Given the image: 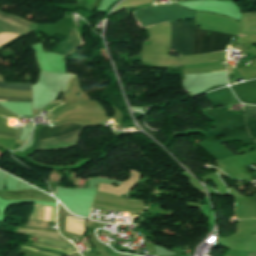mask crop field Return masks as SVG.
Segmentation results:
<instances>
[{"instance_id": "7", "label": "crop field", "mask_w": 256, "mask_h": 256, "mask_svg": "<svg viewBox=\"0 0 256 256\" xmlns=\"http://www.w3.org/2000/svg\"><path fill=\"white\" fill-rule=\"evenodd\" d=\"M0 89L31 91L30 84L0 83ZM0 100L32 103L31 99L0 97Z\"/></svg>"}, {"instance_id": "6", "label": "crop field", "mask_w": 256, "mask_h": 256, "mask_svg": "<svg viewBox=\"0 0 256 256\" xmlns=\"http://www.w3.org/2000/svg\"><path fill=\"white\" fill-rule=\"evenodd\" d=\"M80 45L81 42L76 29H71L70 38L65 41L61 46H59L54 53L67 56L70 52H72L76 47Z\"/></svg>"}, {"instance_id": "1", "label": "crop field", "mask_w": 256, "mask_h": 256, "mask_svg": "<svg viewBox=\"0 0 256 256\" xmlns=\"http://www.w3.org/2000/svg\"><path fill=\"white\" fill-rule=\"evenodd\" d=\"M172 40L170 49H174L186 55H193L194 22H173ZM195 29L194 54L209 53L213 51H224L231 34H223ZM227 56V55H226Z\"/></svg>"}, {"instance_id": "11", "label": "crop field", "mask_w": 256, "mask_h": 256, "mask_svg": "<svg viewBox=\"0 0 256 256\" xmlns=\"http://www.w3.org/2000/svg\"><path fill=\"white\" fill-rule=\"evenodd\" d=\"M246 119H256V106H248L244 108Z\"/></svg>"}, {"instance_id": "5", "label": "crop field", "mask_w": 256, "mask_h": 256, "mask_svg": "<svg viewBox=\"0 0 256 256\" xmlns=\"http://www.w3.org/2000/svg\"><path fill=\"white\" fill-rule=\"evenodd\" d=\"M138 178H139V173L131 171V177L127 181L120 184L119 187L100 184L99 190L121 196L123 193L126 194L133 187V185L137 182Z\"/></svg>"}, {"instance_id": "17", "label": "crop field", "mask_w": 256, "mask_h": 256, "mask_svg": "<svg viewBox=\"0 0 256 256\" xmlns=\"http://www.w3.org/2000/svg\"><path fill=\"white\" fill-rule=\"evenodd\" d=\"M1 107V106H0ZM3 108V107H2Z\"/></svg>"}, {"instance_id": "8", "label": "crop field", "mask_w": 256, "mask_h": 256, "mask_svg": "<svg viewBox=\"0 0 256 256\" xmlns=\"http://www.w3.org/2000/svg\"><path fill=\"white\" fill-rule=\"evenodd\" d=\"M37 242L42 243V244H46V245H50V246H55V247L71 250V251H75V249L73 248L72 245L57 242V241H53V240H49V239H45V238H41V237H38Z\"/></svg>"}, {"instance_id": "16", "label": "crop field", "mask_w": 256, "mask_h": 256, "mask_svg": "<svg viewBox=\"0 0 256 256\" xmlns=\"http://www.w3.org/2000/svg\"><path fill=\"white\" fill-rule=\"evenodd\" d=\"M67 232V231H66ZM70 233V232H69ZM73 234V233H72ZM74 235H76V236H78V237H80V235H77V234H74Z\"/></svg>"}, {"instance_id": "15", "label": "crop field", "mask_w": 256, "mask_h": 256, "mask_svg": "<svg viewBox=\"0 0 256 256\" xmlns=\"http://www.w3.org/2000/svg\"><path fill=\"white\" fill-rule=\"evenodd\" d=\"M246 256H256V252H248Z\"/></svg>"}, {"instance_id": "2", "label": "crop field", "mask_w": 256, "mask_h": 256, "mask_svg": "<svg viewBox=\"0 0 256 256\" xmlns=\"http://www.w3.org/2000/svg\"><path fill=\"white\" fill-rule=\"evenodd\" d=\"M82 128L85 127L73 123L51 129H49V126L42 127L38 134L37 142ZM82 130H78L72 133H68L62 136L38 142L35 151L53 150L76 146L77 141L79 139V134L82 132Z\"/></svg>"}, {"instance_id": "9", "label": "crop field", "mask_w": 256, "mask_h": 256, "mask_svg": "<svg viewBox=\"0 0 256 256\" xmlns=\"http://www.w3.org/2000/svg\"><path fill=\"white\" fill-rule=\"evenodd\" d=\"M245 170L255 173L256 170L250 169L249 165L255 164L252 160H250L245 154L238 155V156H232Z\"/></svg>"}, {"instance_id": "3", "label": "crop field", "mask_w": 256, "mask_h": 256, "mask_svg": "<svg viewBox=\"0 0 256 256\" xmlns=\"http://www.w3.org/2000/svg\"><path fill=\"white\" fill-rule=\"evenodd\" d=\"M135 15L137 19L142 23L143 27H145L165 21L170 22L174 20L195 18L196 13L189 10H185L177 5H170L153 7L147 10L142 9L137 11Z\"/></svg>"}, {"instance_id": "4", "label": "crop field", "mask_w": 256, "mask_h": 256, "mask_svg": "<svg viewBox=\"0 0 256 256\" xmlns=\"http://www.w3.org/2000/svg\"><path fill=\"white\" fill-rule=\"evenodd\" d=\"M0 20L10 23V24H13L18 27H21L23 29L30 30V31H34L35 27H36L35 24L28 23L24 20L18 19L12 15L4 14L2 12H0ZM2 21H0V33H2V32H17V33H23V34L30 33V31L23 30L21 28L12 26V25L4 23Z\"/></svg>"}, {"instance_id": "13", "label": "crop field", "mask_w": 256, "mask_h": 256, "mask_svg": "<svg viewBox=\"0 0 256 256\" xmlns=\"http://www.w3.org/2000/svg\"><path fill=\"white\" fill-rule=\"evenodd\" d=\"M46 226H47V223H45V222H31L30 221L28 227L46 229Z\"/></svg>"}, {"instance_id": "10", "label": "crop field", "mask_w": 256, "mask_h": 256, "mask_svg": "<svg viewBox=\"0 0 256 256\" xmlns=\"http://www.w3.org/2000/svg\"><path fill=\"white\" fill-rule=\"evenodd\" d=\"M21 232H27V233H33L36 234L38 236H42V237H46V238H50V239H54V240H58V241H62V242H67L65 240L59 239V235L57 234H53V233H47V232H32V231H24V230H18ZM69 243V242H67Z\"/></svg>"}, {"instance_id": "12", "label": "crop field", "mask_w": 256, "mask_h": 256, "mask_svg": "<svg viewBox=\"0 0 256 256\" xmlns=\"http://www.w3.org/2000/svg\"><path fill=\"white\" fill-rule=\"evenodd\" d=\"M45 207L36 208L33 213V220L44 221Z\"/></svg>"}, {"instance_id": "14", "label": "crop field", "mask_w": 256, "mask_h": 256, "mask_svg": "<svg viewBox=\"0 0 256 256\" xmlns=\"http://www.w3.org/2000/svg\"><path fill=\"white\" fill-rule=\"evenodd\" d=\"M95 0H85L84 4L93 5Z\"/></svg>"}, {"instance_id": "18", "label": "crop field", "mask_w": 256, "mask_h": 256, "mask_svg": "<svg viewBox=\"0 0 256 256\" xmlns=\"http://www.w3.org/2000/svg\"><path fill=\"white\" fill-rule=\"evenodd\" d=\"M220 72V71H219Z\"/></svg>"}]
</instances>
